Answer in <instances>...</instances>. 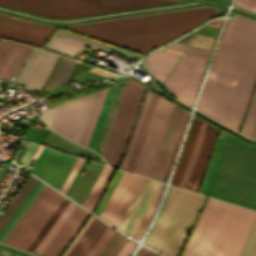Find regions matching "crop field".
Here are the masks:
<instances>
[{"instance_id": "crop-field-1", "label": "crop field", "mask_w": 256, "mask_h": 256, "mask_svg": "<svg viewBox=\"0 0 256 256\" xmlns=\"http://www.w3.org/2000/svg\"><path fill=\"white\" fill-rule=\"evenodd\" d=\"M218 12L201 7L71 26H46L0 14V37L42 47L56 27H65L145 54Z\"/></svg>"}, {"instance_id": "crop-field-2", "label": "crop field", "mask_w": 256, "mask_h": 256, "mask_svg": "<svg viewBox=\"0 0 256 256\" xmlns=\"http://www.w3.org/2000/svg\"><path fill=\"white\" fill-rule=\"evenodd\" d=\"M255 82L256 21L236 16L227 21L197 108L239 131Z\"/></svg>"}, {"instance_id": "crop-field-3", "label": "crop field", "mask_w": 256, "mask_h": 256, "mask_svg": "<svg viewBox=\"0 0 256 256\" xmlns=\"http://www.w3.org/2000/svg\"><path fill=\"white\" fill-rule=\"evenodd\" d=\"M200 193L256 210V146L221 131Z\"/></svg>"}, {"instance_id": "crop-field-4", "label": "crop field", "mask_w": 256, "mask_h": 256, "mask_svg": "<svg viewBox=\"0 0 256 256\" xmlns=\"http://www.w3.org/2000/svg\"><path fill=\"white\" fill-rule=\"evenodd\" d=\"M256 212L209 199L182 256H237Z\"/></svg>"}, {"instance_id": "crop-field-5", "label": "crop field", "mask_w": 256, "mask_h": 256, "mask_svg": "<svg viewBox=\"0 0 256 256\" xmlns=\"http://www.w3.org/2000/svg\"><path fill=\"white\" fill-rule=\"evenodd\" d=\"M205 198L170 187L144 244L168 256H178Z\"/></svg>"}, {"instance_id": "crop-field-6", "label": "crop field", "mask_w": 256, "mask_h": 256, "mask_svg": "<svg viewBox=\"0 0 256 256\" xmlns=\"http://www.w3.org/2000/svg\"><path fill=\"white\" fill-rule=\"evenodd\" d=\"M184 2L182 0H0V5L49 18H73Z\"/></svg>"}, {"instance_id": "crop-field-7", "label": "crop field", "mask_w": 256, "mask_h": 256, "mask_svg": "<svg viewBox=\"0 0 256 256\" xmlns=\"http://www.w3.org/2000/svg\"><path fill=\"white\" fill-rule=\"evenodd\" d=\"M219 128L193 117L172 184L197 191Z\"/></svg>"}, {"instance_id": "crop-field-8", "label": "crop field", "mask_w": 256, "mask_h": 256, "mask_svg": "<svg viewBox=\"0 0 256 256\" xmlns=\"http://www.w3.org/2000/svg\"><path fill=\"white\" fill-rule=\"evenodd\" d=\"M134 81V80H133ZM126 83L102 156L108 165L119 167L145 88Z\"/></svg>"}, {"instance_id": "crop-field-9", "label": "crop field", "mask_w": 256, "mask_h": 256, "mask_svg": "<svg viewBox=\"0 0 256 256\" xmlns=\"http://www.w3.org/2000/svg\"><path fill=\"white\" fill-rule=\"evenodd\" d=\"M100 92L46 110L43 113L45 123L67 138L83 144Z\"/></svg>"}, {"instance_id": "crop-field-10", "label": "crop field", "mask_w": 256, "mask_h": 256, "mask_svg": "<svg viewBox=\"0 0 256 256\" xmlns=\"http://www.w3.org/2000/svg\"><path fill=\"white\" fill-rule=\"evenodd\" d=\"M63 198L45 185L5 242L27 249Z\"/></svg>"}, {"instance_id": "crop-field-11", "label": "crop field", "mask_w": 256, "mask_h": 256, "mask_svg": "<svg viewBox=\"0 0 256 256\" xmlns=\"http://www.w3.org/2000/svg\"><path fill=\"white\" fill-rule=\"evenodd\" d=\"M208 58L184 53L164 86L180 101L192 105Z\"/></svg>"}, {"instance_id": "crop-field-12", "label": "crop field", "mask_w": 256, "mask_h": 256, "mask_svg": "<svg viewBox=\"0 0 256 256\" xmlns=\"http://www.w3.org/2000/svg\"><path fill=\"white\" fill-rule=\"evenodd\" d=\"M174 104L159 98L134 173L149 176Z\"/></svg>"}, {"instance_id": "crop-field-13", "label": "crop field", "mask_w": 256, "mask_h": 256, "mask_svg": "<svg viewBox=\"0 0 256 256\" xmlns=\"http://www.w3.org/2000/svg\"><path fill=\"white\" fill-rule=\"evenodd\" d=\"M87 47L91 49H101L114 52L130 60H136L141 55L102 43L100 41L64 30H58L45 48L73 57L77 51L82 52Z\"/></svg>"}, {"instance_id": "crop-field-14", "label": "crop field", "mask_w": 256, "mask_h": 256, "mask_svg": "<svg viewBox=\"0 0 256 256\" xmlns=\"http://www.w3.org/2000/svg\"><path fill=\"white\" fill-rule=\"evenodd\" d=\"M143 177L123 172L99 217L117 227Z\"/></svg>"}, {"instance_id": "crop-field-15", "label": "crop field", "mask_w": 256, "mask_h": 256, "mask_svg": "<svg viewBox=\"0 0 256 256\" xmlns=\"http://www.w3.org/2000/svg\"><path fill=\"white\" fill-rule=\"evenodd\" d=\"M57 55L36 49L20 71L15 83H25L24 89L40 91Z\"/></svg>"}, {"instance_id": "crop-field-16", "label": "crop field", "mask_w": 256, "mask_h": 256, "mask_svg": "<svg viewBox=\"0 0 256 256\" xmlns=\"http://www.w3.org/2000/svg\"><path fill=\"white\" fill-rule=\"evenodd\" d=\"M35 48L2 40L0 43V78L15 81Z\"/></svg>"}, {"instance_id": "crop-field-17", "label": "crop field", "mask_w": 256, "mask_h": 256, "mask_svg": "<svg viewBox=\"0 0 256 256\" xmlns=\"http://www.w3.org/2000/svg\"><path fill=\"white\" fill-rule=\"evenodd\" d=\"M185 110L174 106L168 126L166 128L163 140L161 142L158 154L156 156L153 168L150 173V178L161 180L168 157L170 155L175 137L177 135L181 120Z\"/></svg>"}, {"instance_id": "crop-field-18", "label": "crop field", "mask_w": 256, "mask_h": 256, "mask_svg": "<svg viewBox=\"0 0 256 256\" xmlns=\"http://www.w3.org/2000/svg\"><path fill=\"white\" fill-rule=\"evenodd\" d=\"M89 214L90 213L77 206L46 249L43 251L42 255L59 256Z\"/></svg>"}, {"instance_id": "crop-field-19", "label": "crop field", "mask_w": 256, "mask_h": 256, "mask_svg": "<svg viewBox=\"0 0 256 256\" xmlns=\"http://www.w3.org/2000/svg\"><path fill=\"white\" fill-rule=\"evenodd\" d=\"M107 226L94 218L66 256H86Z\"/></svg>"}, {"instance_id": "crop-field-20", "label": "crop field", "mask_w": 256, "mask_h": 256, "mask_svg": "<svg viewBox=\"0 0 256 256\" xmlns=\"http://www.w3.org/2000/svg\"><path fill=\"white\" fill-rule=\"evenodd\" d=\"M159 185L160 182L150 180L145 192L143 193L138 205L136 206L131 218L129 219L123 231L124 233L132 236L135 228L137 227L140 219L142 218Z\"/></svg>"}, {"instance_id": "crop-field-21", "label": "crop field", "mask_w": 256, "mask_h": 256, "mask_svg": "<svg viewBox=\"0 0 256 256\" xmlns=\"http://www.w3.org/2000/svg\"><path fill=\"white\" fill-rule=\"evenodd\" d=\"M158 98H159V96H157L155 94H152L149 106L147 108V111H146L141 129H140V132L138 134V137H137V140H136V143H135L132 155H131V158L129 160V163H128V166H127V169H126L127 171H131V172L133 171L134 165L136 163L139 151L141 149V146H142L145 134L147 132L150 120L152 118L155 106L157 104Z\"/></svg>"}, {"instance_id": "crop-field-22", "label": "crop field", "mask_w": 256, "mask_h": 256, "mask_svg": "<svg viewBox=\"0 0 256 256\" xmlns=\"http://www.w3.org/2000/svg\"><path fill=\"white\" fill-rule=\"evenodd\" d=\"M125 83L119 84L117 86V89H116V92H115V95H114V98H113L108 116L106 118L103 130H102V133H101L98 145H97L96 151L99 152L100 154H102V151H103V148H104V145H105V142H106V139H107V136H108L113 118L115 116V113H116V110H117V107H118V104H119V101H120Z\"/></svg>"}, {"instance_id": "crop-field-23", "label": "crop field", "mask_w": 256, "mask_h": 256, "mask_svg": "<svg viewBox=\"0 0 256 256\" xmlns=\"http://www.w3.org/2000/svg\"><path fill=\"white\" fill-rule=\"evenodd\" d=\"M76 206L77 205L70 201L64 211L61 213V215L58 217V219L55 221V223L37 245V247L34 249V252H37L39 254L42 253V251L45 249V247L48 245V243L51 241V239L54 237V235L57 233V231L60 229V227L63 225V223L66 221V219L69 217V215L72 213Z\"/></svg>"}, {"instance_id": "crop-field-24", "label": "crop field", "mask_w": 256, "mask_h": 256, "mask_svg": "<svg viewBox=\"0 0 256 256\" xmlns=\"http://www.w3.org/2000/svg\"><path fill=\"white\" fill-rule=\"evenodd\" d=\"M116 86L111 87L107 90V93H106V96H105V99H104L99 117L97 119L94 131H93V134H92L89 146H88L89 148H93V149L96 148V145H97V142H98V139H99V136H100V133H101L106 115L108 113V110H109V107H110V104H111Z\"/></svg>"}, {"instance_id": "crop-field-25", "label": "crop field", "mask_w": 256, "mask_h": 256, "mask_svg": "<svg viewBox=\"0 0 256 256\" xmlns=\"http://www.w3.org/2000/svg\"><path fill=\"white\" fill-rule=\"evenodd\" d=\"M37 182V179L30 176L29 180L24 184L20 192L17 194V196L12 200L9 207L3 212V214L0 216V231L4 227V225L7 223V221L10 219L12 214L15 212V210L18 208V206L21 204L23 199L26 197V195L29 193L31 188L34 186V184Z\"/></svg>"}, {"instance_id": "crop-field-26", "label": "crop field", "mask_w": 256, "mask_h": 256, "mask_svg": "<svg viewBox=\"0 0 256 256\" xmlns=\"http://www.w3.org/2000/svg\"><path fill=\"white\" fill-rule=\"evenodd\" d=\"M63 138L64 137H62V136H60V135H58V134H56V133L51 131L50 134L47 136V138L44 140L43 144H46V145H49V146H52V147L56 148V146L61 142V140ZM61 144L68 145V146H71V147H74V148H77V149H80V150H83V151H87V152L96 154L94 151H90L88 149L80 147V146L70 142L67 139L66 140L63 139ZM60 145H58L57 149H60V150H63V151L69 152V153L81 155V156H84V157H88V158H90L92 160L95 157L94 155H90V154H87V153H84V152H80V151H77V150H74V149H70V148H67V147H64V146H60Z\"/></svg>"}, {"instance_id": "crop-field-27", "label": "crop field", "mask_w": 256, "mask_h": 256, "mask_svg": "<svg viewBox=\"0 0 256 256\" xmlns=\"http://www.w3.org/2000/svg\"><path fill=\"white\" fill-rule=\"evenodd\" d=\"M75 61H72L67 58H61L46 90L48 91L49 89L55 87L56 85L66 81L75 65Z\"/></svg>"}, {"instance_id": "crop-field-28", "label": "crop field", "mask_w": 256, "mask_h": 256, "mask_svg": "<svg viewBox=\"0 0 256 256\" xmlns=\"http://www.w3.org/2000/svg\"><path fill=\"white\" fill-rule=\"evenodd\" d=\"M151 94H152V92L147 91V94H146V97H145V99H144V102H143L141 111H140V113H139V116H138V119H137L135 128H134V130H133V133H132V136H131L129 145H128V147H127V150H126L124 159H123L122 164H121V167H120V168L123 169V170L126 169V166H127L129 157H130V155H131V152H132V149H133V146H134V143H135V140H136L138 131H139V129H140V126H141V123H142V120H143V117H144V114H145L147 105H148V103H149Z\"/></svg>"}, {"instance_id": "crop-field-29", "label": "crop field", "mask_w": 256, "mask_h": 256, "mask_svg": "<svg viewBox=\"0 0 256 256\" xmlns=\"http://www.w3.org/2000/svg\"><path fill=\"white\" fill-rule=\"evenodd\" d=\"M127 240V238L115 231L97 256H116Z\"/></svg>"}, {"instance_id": "crop-field-30", "label": "crop field", "mask_w": 256, "mask_h": 256, "mask_svg": "<svg viewBox=\"0 0 256 256\" xmlns=\"http://www.w3.org/2000/svg\"><path fill=\"white\" fill-rule=\"evenodd\" d=\"M69 203V200L65 199L61 202V204L58 206L56 211L53 213V215L50 217V219L47 221L45 226L42 228V230L39 232L37 237L34 239V241L31 243V245L28 247V250L33 251V249L36 247V245L39 243V241L42 239V237L45 235V233L48 231V229L51 227V225L54 223V221L57 219V217L60 215V213L63 211V209L66 207V205Z\"/></svg>"}, {"instance_id": "crop-field-31", "label": "crop field", "mask_w": 256, "mask_h": 256, "mask_svg": "<svg viewBox=\"0 0 256 256\" xmlns=\"http://www.w3.org/2000/svg\"><path fill=\"white\" fill-rule=\"evenodd\" d=\"M255 120H256V90L252 98L249 110L247 112V115L240 133L247 137H250Z\"/></svg>"}, {"instance_id": "crop-field-32", "label": "crop field", "mask_w": 256, "mask_h": 256, "mask_svg": "<svg viewBox=\"0 0 256 256\" xmlns=\"http://www.w3.org/2000/svg\"><path fill=\"white\" fill-rule=\"evenodd\" d=\"M188 115H189V113L185 112L184 118L182 120V123H181L180 129H179L178 135L176 137V140H175V143H174L171 155L169 157V160H168V163H167V166H166V169H165V172L163 174V177H162L161 181H165V182L167 181V178H168V175H169V172H170L173 160L175 158L177 149L179 147V144H180V141H181V138H182V134H183L186 122H187Z\"/></svg>"}, {"instance_id": "crop-field-33", "label": "crop field", "mask_w": 256, "mask_h": 256, "mask_svg": "<svg viewBox=\"0 0 256 256\" xmlns=\"http://www.w3.org/2000/svg\"><path fill=\"white\" fill-rule=\"evenodd\" d=\"M144 179H146V178H144ZM148 182H149V179L143 180L141 186L139 187L137 193L135 194V196H134L132 202L130 203V205H129L127 211L125 212L123 218L121 219V221H120V223H119V225H118V227H117V228H119L120 230L123 231V229H124V227H125V225H126L128 219L130 218V216H131V214H132V212H133L135 206L137 205V203H138V201H139V199H140L142 193L144 192V190H145V188H146Z\"/></svg>"}, {"instance_id": "crop-field-34", "label": "crop field", "mask_w": 256, "mask_h": 256, "mask_svg": "<svg viewBox=\"0 0 256 256\" xmlns=\"http://www.w3.org/2000/svg\"><path fill=\"white\" fill-rule=\"evenodd\" d=\"M161 187H162V185H160V187H159L157 193L155 194V196H154L152 202L150 203V205H149L147 211L145 212L143 218L141 219V221H140L138 227L136 228V230H135V232H134V234H133V237H135V238H140V236H141V234H142V232H143V230H144V228H145V226H146V224H147V222H148V220H149V218H150V216H151V214H152V212H153V210H154V207H155V205H156V203H157V200H158V198H159V195H160V193H161V191H162ZM155 208H156V207H155ZM153 213H154V212H153ZM152 215H153V214H152ZM151 217H152V216H151ZM150 219H151V218H150ZM149 221H150V220H149ZM148 223H149V222H148ZM147 225H148V224H147ZM146 227H147V226H146Z\"/></svg>"}, {"instance_id": "crop-field-35", "label": "crop field", "mask_w": 256, "mask_h": 256, "mask_svg": "<svg viewBox=\"0 0 256 256\" xmlns=\"http://www.w3.org/2000/svg\"><path fill=\"white\" fill-rule=\"evenodd\" d=\"M239 256H256V220Z\"/></svg>"}, {"instance_id": "crop-field-36", "label": "crop field", "mask_w": 256, "mask_h": 256, "mask_svg": "<svg viewBox=\"0 0 256 256\" xmlns=\"http://www.w3.org/2000/svg\"><path fill=\"white\" fill-rule=\"evenodd\" d=\"M179 58H180L179 56L156 51L151 55H149L147 58H145V60H149V61L174 67Z\"/></svg>"}, {"instance_id": "crop-field-37", "label": "crop field", "mask_w": 256, "mask_h": 256, "mask_svg": "<svg viewBox=\"0 0 256 256\" xmlns=\"http://www.w3.org/2000/svg\"><path fill=\"white\" fill-rule=\"evenodd\" d=\"M144 66L152 73L154 74L161 83L164 81V79L167 77L168 73L173 69L172 67L148 62V61H142Z\"/></svg>"}, {"instance_id": "crop-field-38", "label": "crop field", "mask_w": 256, "mask_h": 256, "mask_svg": "<svg viewBox=\"0 0 256 256\" xmlns=\"http://www.w3.org/2000/svg\"><path fill=\"white\" fill-rule=\"evenodd\" d=\"M42 182L38 180V182L35 184V186L32 188L30 193L27 195V197L24 199L22 204L19 206V208L16 210V212L13 214L11 219L8 221V223L5 225L3 230L0 232V238L3 236V234L6 232V230L9 228V226L12 224V222L15 220V218L18 216L20 211L23 209V207L26 205V203L29 201V199L32 197V195L35 193V191L38 189Z\"/></svg>"}, {"instance_id": "crop-field-39", "label": "crop field", "mask_w": 256, "mask_h": 256, "mask_svg": "<svg viewBox=\"0 0 256 256\" xmlns=\"http://www.w3.org/2000/svg\"><path fill=\"white\" fill-rule=\"evenodd\" d=\"M114 231L115 230H113L108 226V228L99 238V240L97 241V243L94 245V247L91 249V251L87 256H96L99 253V251L102 249V247L105 245V243L108 241V239L111 237V235L114 233Z\"/></svg>"}, {"instance_id": "crop-field-40", "label": "crop field", "mask_w": 256, "mask_h": 256, "mask_svg": "<svg viewBox=\"0 0 256 256\" xmlns=\"http://www.w3.org/2000/svg\"><path fill=\"white\" fill-rule=\"evenodd\" d=\"M108 170H109V167L104 166V168H103L102 172L100 173L98 179L96 180L94 186L92 187V189H91V191L89 192L87 198L85 199V201H84V203H83V206H85V207L88 208V206H89L91 200L93 199L95 193L97 192V190H98L100 184L102 183L104 177L106 176ZM87 208H86V209H87Z\"/></svg>"}, {"instance_id": "crop-field-41", "label": "crop field", "mask_w": 256, "mask_h": 256, "mask_svg": "<svg viewBox=\"0 0 256 256\" xmlns=\"http://www.w3.org/2000/svg\"><path fill=\"white\" fill-rule=\"evenodd\" d=\"M106 90H107V89H106ZM106 90H103V91L101 92V95H100L98 104H97V106H96V109H95V112H94V115H93V118H92V121H91L89 130H88V132H87V135H86V138H85V141H84V144H83V145L86 146V147L88 146V143H89V140H90V137H91V134H92V131H93V128H94L96 119H97V117H98V114H99V111H100V108H101V105H102V102H103V99H104Z\"/></svg>"}, {"instance_id": "crop-field-42", "label": "crop field", "mask_w": 256, "mask_h": 256, "mask_svg": "<svg viewBox=\"0 0 256 256\" xmlns=\"http://www.w3.org/2000/svg\"><path fill=\"white\" fill-rule=\"evenodd\" d=\"M114 171H115V169L110 168V170H109L107 176L105 177V179H104L103 183L101 184V186H100L98 192L96 193L94 199L92 200V202H91V204H90V206H89V208H88V209L91 210L92 212H93V210H94V208H95L97 202L99 201V199H100V197H101L103 191L105 190V188H106V186H107L109 180L111 179V177H112Z\"/></svg>"}, {"instance_id": "crop-field-43", "label": "crop field", "mask_w": 256, "mask_h": 256, "mask_svg": "<svg viewBox=\"0 0 256 256\" xmlns=\"http://www.w3.org/2000/svg\"><path fill=\"white\" fill-rule=\"evenodd\" d=\"M51 130H48V129H46V130H44L43 132H41V131H39V130H37V129H34V128H29L28 129V131H27V133H26V135H25V137L26 138H30V139H32V140H35V141H38V142H42L43 141V139L48 135V133L50 132ZM26 138H24V139H26ZM30 139H26V140H30ZM32 140H30V141H32Z\"/></svg>"}, {"instance_id": "crop-field-44", "label": "crop field", "mask_w": 256, "mask_h": 256, "mask_svg": "<svg viewBox=\"0 0 256 256\" xmlns=\"http://www.w3.org/2000/svg\"><path fill=\"white\" fill-rule=\"evenodd\" d=\"M38 148V145H34V144H29V146L27 147L24 155L22 156L20 163L24 164L23 167H25L27 169L30 161L32 160V157L34 155V153L36 152Z\"/></svg>"}, {"instance_id": "crop-field-45", "label": "crop field", "mask_w": 256, "mask_h": 256, "mask_svg": "<svg viewBox=\"0 0 256 256\" xmlns=\"http://www.w3.org/2000/svg\"><path fill=\"white\" fill-rule=\"evenodd\" d=\"M167 47L168 48L179 49V50L190 51V52L199 53V54L208 55V56L210 55V52H211L209 50L195 48V47L186 46V45H181V44H177V43H173V44H171Z\"/></svg>"}, {"instance_id": "crop-field-46", "label": "crop field", "mask_w": 256, "mask_h": 256, "mask_svg": "<svg viewBox=\"0 0 256 256\" xmlns=\"http://www.w3.org/2000/svg\"><path fill=\"white\" fill-rule=\"evenodd\" d=\"M41 185V184H40ZM45 184L42 183V185L39 187V189L36 191V193L33 195V197L30 199V201L27 203V205L24 207L22 212L19 214V216L16 218V220L13 222V224L10 226V228L7 230V232L4 234V236L1 238L2 241L7 237V235L10 233V231L13 229V227L16 225L18 220L21 218V216L24 214V212L27 210V208L30 206L32 201L35 199V197L38 195V193L41 191V189L44 187ZM37 198V197H36ZM34 202V201H33ZM20 221V220H19Z\"/></svg>"}, {"instance_id": "crop-field-47", "label": "crop field", "mask_w": 256, "mask_h": 256, "mask_svg": "<svg viewBox=\"0 0 256 256\" xmlns=\"http://www.w3.org/2000/svg\"><path fill=\"white\" fill-rule=\"evenodd\" d=\"M0 256H32L0 244Z\"/></svg>"}, {"instance_id": "crop-field-48", "label": "crop field", "mask_w": 256, "mask_h": 256, "mask_svg": "<svg viewBox=\"0 0 256 256\" xmlns=\"http://www.w3.org/2000/svg\"><path fill=\"white\" fill-rule=\"evenodd\" d=\"M82 161H83V159L78 158V160H77V162H76V164H75V166H74V168H73L71 174L69 175V177H68V179H67V181H66V183H65V185H64V187H63V189L61 188L62 191H61V190H60V191L63 192L64 194H65V192H66L68 186L70 185V183H71L73 177L75 176V174H76L78 168L80 167Z\"/></svg>"}, {"instance_id": "crop-field-49", "label": "crop field", "mask_w": 256, "mask_h": 256, "mask_svg": "<svg viewBox=\"0 0 256 256\" xmlns=\"http://www.w3.org/2000/svg\"><path fill=\"white\" fill-rule=\"evenodd\" d=\"M235 4L245 9L256 11V0H236Z\"/></svg>"}, {"instance_id": "crop-field-50", "label": "crop field", "mask_w": 256, "mask_h": 256, "mask_svg": "<svg viewBox=\"0 0 256 256\" xmlns=\"http://www.w3.org/2000/svg\"><path fill=\"white\" fill-rule=\"evenodd\" d=\"M135 244L128 240L122 250L117 256H129L134 248Z\"/></svg>"}, {"instance_id": "crop-field-51", "label": "crop field", "mask_w": 256, "mask_h": 256, "mask_svg": "<svg viewBox=\"0 0 256 256\" xmlns=\"http://www.w3.org/2000/svg\"><path fill=\"white\" fill-rule=\"evenodd\" d=\"M136 256H159L143 247H141L138 251V253L136 254Z\"/></svg>"}, {"instance_id": "crop-field-52", "label": "crop field", "mask_w": 256, "mask_h": 256, "mask_svg": "<svg viewBox=\"0 0 256 256\" xmlns=\"http://www.w3.org/2000/svg\"><path fill=\"white\" fill-rule=\"evenodd\" d=\"M81 169H79V171H78V173H77V175L75 176V178H74V180H73V182L71 183V185H70V187L68 188V190H67V192H66V195L68 196V194H69V192H70V190H71V188H72V186L74 185V183H75V181H76V179H77V177L79 176V174L81 173Z\"/></svg>"}, {"instance_id": "crop-field-53", "label": "crop field", "mask_w": 256, "mask_h": 256, "mask_svg": "<svg viewBox=\"0 0 256 256\" xmlns=\"http://www.w3.org/2000/svg\"><path fill=\"white\" fill-rule=\"evenodd\" d=\"M8 166H9V164L4 163L3 167L0 170V178L2 177V175L4 174V172L6 171Z\"/></svg>"}, {"instance_id": "crop-field-54", "label": "crop field", "mask_w": 256, "mask_h": 256, "mask_svg": "<svg viewBox=\"0 0 256 256\" xmlns=\"http://www.w3.org/2000/svg\"><path fill=\"white\" fill-rule=\"evenodd\" d=\"M250 138H256V123Z\"/></svg>"}, {"instance_id": "crop-field-55", "label": "crop field", "mask_w": 256, "mask_h": 256, "mask_svg": "<svg viewBox=\"0 0 256 256\" xmlns=\"http://www.w3.org/2000/svg\"><path fill=\"white\" fill-rule=\"evenodd\" d=\"M41 149H42V147L41 146H39V148H38V150H37V152H36V154H35V158H37V156H38V154H39V152L41 151Z\"/></svg>"}, {"instance_id": "crop-field-56", "label": "crop field", "mask_w": 256, "mask_h": 256, "mask_svg": "<svg viewBox=\"0 0 256 256\" xmlns=\"http://www.w3.org/2000/svg\"><path fill=\"white\" fill-rule=\"evenodd\" d=\"M215 1L223 2V3H227L228 2V0H215Z\"/></svg>"}, {"instance_id": "crop-field-57", "label": "crop field", "mask_w": 256, "mask_h": 256, "mask_svg": "<svg viewBox=\"0 0 256 256\" xmlns=\"http://www.w3.org/2000/svg\"><path fill=\"white\" fill-rule=\"evenodd\" d=\"M25 149H26V146L24 147L22 153L20 154V156H19V158H18V161H19L20 157L22 156L23 152L25 151Z\"/></svg>"}]
</instances>
